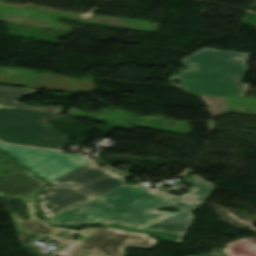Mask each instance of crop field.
<instances>
[{
    "label": "crop field",
    "instance_id": "8a807250",
    "mask_svg": "<svg viewBox=\"0 0 256 256\" xmlns=\"http://www.w3.org/2000/svg\"><path fill=\"white\" fill-rule=\"evenodd\" d=\"M198 205V202H182L181 199L138 185L123 184L46 221L51 225L94 223L107 225L116 222L136 229L179 234L176 243L180 244L193 221L191 212L199 208ZM158 207H174L182 211L177 213L155 211L154 209Z\"/></svg>",
    "mask_w": 256,
    "mask_h": 256
},
{
    "label": "crop field",
    "instance_id": "ac0d7876",
    "mask_svg": "<svg viewBox=\"0 0 256 256\" xmlns=\"http://www.w3.org/2000/svg\"><path fill=\"white\" fill-rule=\"evenodd\" d=\"M46 185L39 177L28 170H22L8 178L0 180V196L5 199L17 197L29 205L31 218L22 220L13 214L20 232L48 236L70 246L55 251L65 256H124L126 246L152 248L156 239L147 234L128 233L112 228H87L79 232L54 228L38 218L36 195ZM79 233L84 239L70 237Z\"/></svg>",
    "mask_w": 256,
    "mask_h": 256
},
{
    "label": "crop field",
    "instance_id": "34b2d1b8",
    "mask_svg": "<svg viewBox=\"0 0 256 256\" xmlns=\"http://www.w3.org/2000/svg\"><path fill=\"white\" fill-rule=\"evenodd\" d=\"M248 57L249 53L204 48L184 58L182 62L190 68L171 79L181 80L189 89L244 97L250 85L240 82Z\"/></svg>",
    "mask_w": 256,
    "mask_h": 256
},
{
    "label": "crop field",
    "instance_id": "412701ff",
    "mask_svg": "<svg viewBox=\"0 0 256 256\" xmlns=\"http://www.w3.org/2000/svg\"><path fill=\"white\" fill-rule=\"evenodd\" d=\"M125 176L92 162L50 182L39 195L40 209L49 218L125 183Z\"/></svg>",
    "mask_w": 256,
    "mask_h": 256
},
{
    "label": "crop field",
    "instance_id": "f4fd0767",
    "mask_svg": "<svg viewBox=\"0 0 256 256\" xmlns=\"http://www.w3.org/2000/svg\"><path fill=\"white\" fill-rule=\"evenodd\" d=\"M64 115L23 109L0 110V140L6 143L63 150L69 137L44 125V121Z\"/></svg>",
    "mask_w": 256,
    "mask_h": 256
},
{
    "label": "crop field",
    "instance_id": "dd49c442",
    "mask_svg": "<svg viewBox=\"0 0 256 256\" xmlns=\"http://www.w3.org/2000/svg\"><path fill=\"white\" fill-rule=\"evenodd\" d=\"M0 149L9 153L47 182L92 162L79 154H64L62 152L23 148L2 143H0Z\"/></svg>",
    "mask_w": 256,
    "mask_h": 256
},
{
    "label": "crop field",
    "instance_id": "e52e79f7",
    "mask_svg": "<svg viewBox=\"0 0 256 256\" xmlns=\"http://www.w3.org/2000/svg\"><path fill=\"white\" fill-rule=\"evenodd\" d=\"M33 92H35V90L29 89V88L19 89L15 87H6V88L0 87V104L61 114L63 110V107L61 106L32 107V106L24 105L18 102L21 97L25 95H30Z\"/></svg>",
    "mask_w": 256,
    "mask_h": 256
},
{
    "label": "crop field",
    "instance_id": "d8731c3e",
    "mask_svg": "<svg viewBox=\"0 0 256 256\" xmlns=\"http://www.w3.org/2000/svg\"><path fill=\"white\" fill-rule=\"evenodd\" d=\"M187 180L196 183L188 194L183 195V198L205 201L210 194L215 190L214 184L205 181V178L200 176H191Z\"/></svg>",
    "mask_w": 256,
    "mask_h": 256
},
{
    "label": "crop field",
    "instance_id": "5a996713",
    "mask_svg": "<svg viewBox=\"0 0 256 256\" xmlns=\"http://www.w3.org/2000/svg\"><path fill=\"white\" fill-rule=\"evenodd\" d=\"M229 256H256V247L247 239H240L224 250Z\"/></svg>",
    "mask_w": 256,
    "mask_h": 256
},
{
    "label": "crop field",
    "instance_id": "3316defc",
    "mask_svg": "<svg viewBox=\"0 0 256 256\" xmlns=\"http://www.w3.org/2000/svg\"><path fill=\"white\" fill-rule=\"evenodd\" d=\"M109 226L117 227V228L128 230V231L148 232L152 236L158 237V238H160L161 240H163L165 242H172V243H174L176 238H177V236H178V235L169 234V233L136 230V229H133L131 227L120 225V224H116V223H112Z\"/></svg>",
    "mask_w": 256,
    "mask_h": 256
},
{
    "label": "crop field",
    "instance_id": "28ad6ade",
    "mask_svg": "<svg viewBox=\"0 0 256 256\" xmlns=\"http://www.w3.org/2000/svg\"><path fill=\"white\" fill-rule=\"evenodd\" d=\"M50 95H56V96H70L71 94L63 93V94H57V93H48Z\"/></svg>",
    "mask_w": 256,
    "mask_h": 256
},
{
    "label": "crop field",
    "instance_id": "d1516ede",
    "mask_svg": "<svg viewBox=\"0 0 256 256\" xmlns=\"http://www.w3.org/2000/svg\"><path fill=\"white\" fill-rule=\"evenodd\" d=\"M193 256H212L210 254H203V255H193Z\"/></svg>",
    "mask_w": 256,
    "mask_h": 256
},
{
    "label": "crop field",
    "instance_id": "22f410ed",
    "mask_svg": "<svg viewBox=\"0 0 256 256\" xmlns=\"http://www.w3.org/2000/svg\"><path fill=\"white\" fill-rule=\"evenodd\" d=\"M0 107H9V108H15V107H10V106H3V105H0Z\"/></svg>",
    "mask_w": 256,
    "mask_h": 256
},
{
    "label": "crop field",
    "instance_id": "cbeb9de0",
    "mask_svg": "<svg viewBox=\"0 0 256 256\" xmlns=\"http://www.w3.org/2000/svg\"><path fill=\"white\" fill-rule=\"evenodd\" d=\"M50 103H54V102H50Z\"/></svg>",
    "mask_w": 256,
    "mask_h": 256
}]
</instances>
